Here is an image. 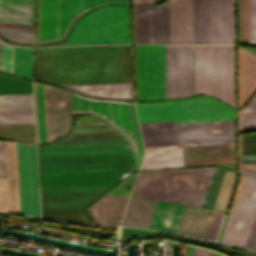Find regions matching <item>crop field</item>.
Here are the masks:
<instances>
[{
	"instance_id": "crop-field-1",
	"label": "crop field",
	"mask_w": 256,
	"mask_h": 256,
	"mask_svg": "<svg viewBox=\"0 0 256 256\" xmlns=\"http://www.w3.org/2000/svg\"><path fill=\"white\" fill-rule=\"evenodd\" d=\"M44 83L132 81L130 45L37 48ZM82 95L133 101L132 82L52 84Z\"/></svg>"
},
{
	"instance_id": "crop-field-2",
	"label": "crop field",
	"mask_w": 256,
	"mask_h": 256,
	"mask_svg": "<svg viewBox=\"0 0 256 256\" xmlns=\"http://www.w3.org/2000/svg\"><path fill=\"white\" fill-rule=\"evenodd\" d=\"M40 188L114 186L132 163L38 166ZM111 187L40 189L42 218L92 223L85 207Z\"/></svg>"
},
{
	"instance_id": "crop-field-3",
	"label": "crop field",
	"mask_w": 256,
	"mask_h": 256,
	"mask_svg": "<svg viewBox=\"0 0 256 256\" xmlns=\"http://www.w3.org/2000/svg\"><path fill=\"white\" fill-rule=\"evenodd\" d=\"M194 95L210 94L234 106L233 46L193 45Z\"/></svg>"
},
{
	"instance_id": "crop-field-4",
	"label": "crop field",
	"mask_w": 256,
	"mask_h": 256,
	"mask_svg": "<svg viewBox=\"0 0 256 256\" xmlns=\"http://www.w3.org/2000/svg\"><path fill=\"white\" fill-rule=\"evenodd\" d=\"M37 156L38 165L132 162L124 140L53 142Z\"/></svg>"
},
{
	"instance_id": "crop-field-5",
	"label": "crop field",
	"mask_w": 256,
	"mask_h": 256,
	"mask_svg": "<svg viewBox=\"0 0 256 256\" xmlns=\"http://www.w3.org/2000/svg\"><path fill=\"white\" fill-rule=\"evenodd\" d=\"M37 144H46L71 129L73 93L33 83Z\"/></svg>"
},
{
	"instance_id": "crop-field-6",
	"label": "crop field",
	"mask_w": 256,
	"mask_h": 256,
	"mask_svg": "<svg viewBox=\"0 0 256 256\" xmlns=\"http://www.w3.org/2000/svg\"><path fill=\"white\" fill-rule=\"evenodd\" d=\"M73 114H93L119 131L132 152L143 151L133 103L92 100L74 94Z\"/></svg>"
},
{
	"instance_id": "crop-field-7",
	"label": "crop field",
	"mask_w": 256,
	"mask_h": 256,
	"mask_svg": "<svg viewBox=\"0 0 256 256\" xmlns=\"http://www.w3.org/2000/svg\"><path fill=\"white\" fill-rule=\"evenodd\" d=\"M256 211V179L241 176L222 242L244 246Z\"/></svg>"
},
{
	"instance_id": "crop-field-8",
	"label": "crop field",
	"mask_w": 256,
	"mask_h": 256,
	"mask_svg": "<svg viewBox=\"0 0 256 256\" xmlns=\"http://www.w3.org/2000/svg\"><path fill=\"white\" fill-rule=\"evenodd\" d=\"M140 101L165 99V45H136Z\"/></svg>"
},
{
	"instance_id": "crop-field-9",
	"label": "crop field",
	"mask_w": 256,
	"mask_h": 256,
	"mask_svg": "<svg viewBox=\"0 0 256 256\" xmlns=\"http://www.w3.org/2000/svg\"><path fill=\"white\" fill-rule=\"evenodd\" d=\"M75 0H40L39 41L62 37L74 17ZM91 0H76L75 15L90 8Z\"/></svg>"
},
{
	"instance_id": "crop-field-10",
	"label": "crop field",
	"mask_w": 256,
	"mask_h": 256,
	"mask_svg": "<svg viewBox=\"0 0 256 256\" xmlns=\"http://www.w3.org/2000/svg\"><path fill=\"white\" fill-rule=\"evenodd\" d=\"M192 95L191 45H166V99Z\"/></svg>"
},
{
	"instance_id": "crop-field-11",
	"label": "crop field",
	"mask_w": 256,
	"mask_h": 256,
	"mask_svg": "<svg viewBox=\"0 0 256 256\" xmlns=\"http://www.w3.org/2000/svg\"><path fill=\"white\" fill-rule=\"evenodd\" d=\"M135 43H170L169 0L152 7L133 6Z\"/></svg>"
},
{
	"instance_id": "crop-field-12",
	"label": "crop field",
	"mask_w": 256,
	"mask_h": 256,
	"mask_svg": "<svg viewBox=\"0 0 256 256\" xmlns=\"http://www.w3.org/2000/svg\"><path fill=\"white\" fill-rule=\"evenodd\" d=\"M176 126L181 147L234 144V120Z\"/></svg>"
},
{
	"instance_id": "crop-field-13",
	"label": "crop field",
	"mask_w": 256,
	"mask_h": 256,
	"mask_svg": "<svg viewBox=\"0 0 256 256\" xmlns=\"http://www.w3.org/2000/svg\"><path fill=\"white\" fill-rule=\"evenodd\" d=\"M21 214L40 217L35 146L18 143Z\"/></svg>"
},
{
	"instance_id": "crop-field-14",
	"label": "crop field",
	"mask_w": 256,
	"mask_h": 256,
	"mask_svg": "<svg viewBox=\"0 0 256 256\" xmlns=\"http://www.w3.org/2000/svg\"><path fill=\"white\" fill-rule=\"evenodd\" d=\"M139 121L234 116V109L222 104H196L137 108Z\"/></svg>"
},
{
	"instance_id": "crop-field-15",
	"label": "crop field",
	"mask_w": 256,
	"mask_h": 256,
	"mask_svg": "<svg viewBox=\"0 0 256 256\" xmlns=\"http://www.w3.org/2000/svg\"><path fill=\"white\" fill-rule=\"evenodd\" d=\"M111 44L109 6L94 10L79 19L67 45Z\"/></svg>"
},
{
	"instance_id": "crop-field-16",
	"label": "crop field",
	"mask_w": 256,
	"mask_h": 256,
	"mask_svg": "<svg viewBox=\"0 0 256 256\" xmlns=\"http://www.w3.org/2000/svg\"><path fill=\"white\" fill-rule=\"evenodd\" d=\"M210 43H233L232 0H210Z\"/></svg>"
},
{
	"instance_id": "crop-field-17",
	"label": "crop field",
	"mask_w": 256,
	"mask_h": 256,
	"mask_svg": "<svg viewBox=\"0 0 256 256\" xmlns=\"http://www.w3.org/2000/svg\"><path fill=\"white\" fill-rule=\"evenodd\" d=\"M34 123L32 95H0V124Z\"/></svg>"
},
{
	"instance_id": "crop-field-18",
	"label": "crop field",
	"mask_w": 256,
	"mask_h": 256,
	"mask_svg": "<svg viewBox=\"0 0 256 256\" xmlns=\"http://www.w3.org/2000/svg\"><path fill=\"white\" fill-rule=\"evenodd\" d=\"M184 166L234 163V145L181 148Z\"/></svg>"
},
{
	"instance_id": "crop-field-19",
	"label": "crop field",
	"mask_w": 256,
	"mask_h": 256,
	"mask_svg": "<svg viewBox=\"0 0 256 256\" xmlns=\"http://www.w3.org/2000/svg\"><path fill=\"white\" fill-rule=\"evenodd\" d=\"M171 43H192V0H170Z\"/></svg>"
},
{
	"instance_id": "crop-field-20",
	"label": "crop field",
	"mask_w": 256,
	"mask_h": 256,
	"mask_svg": "<svg viewBox=\"0 0 256 256\" xmlns=\"http://www.w3.org/2000/svg\"><path fill=\"white\" fill-rule=\"evenodd\" d=\"M139 125L144 147L179 145L174 121Z\"/></svg>"
},
{
	"instance_id": "crop-field-21",
	"label": "crop field",
	"mask_w": 256,
	"mask_h": 256,
	"mask_svg": "<svg viewBox=\"0 0 256 256\" xmlns=\"http://www.w3.org/2000/svg\"><path fill=\"white\" fill-rule=\"evenodd\" d=\"M106 195V194H105ZM128 198L106 195L88 208L95 224L118 225Z\"/></svg>"
},
{
	"instance_id": "crop-field-22",
	"label": "crop field",
	"mask_w": 256,
	"mask_h": 256,
	"mask_svg": "<svg viewBox=\"0 0 256 256\" xmlns=\"http://www.w3.org/2000/svg\"><path fill=\"white\" fill-rule=\"evenodd\" d=\"M239 108L256 90V58L238 49Z\"/></svg>"
},
{
	"instance_id": "crop-field-23",
	"label": "crop field",
	"mask_w": 256,
	"mask_h": 256,
	"mask_svg": "<svg viewBox=\"0 0 256 256\" xmlns=\"http://www.w3.org/2000/svg\"><path fill=\"white\" fill-rule=\"evenodd\" d=\"M144 149L146 156L140 170L183 167L179 146Z\"/></svg>"
},
{
	"instance_id": "crop-field-24",
	"label": "crop field",
	"mask_w": 256,
	"mask_h": 256,
	"mask_svg": "<svg viewBox=\"0 0 256 256\" xmlns=\"http://www.w3.org/2000/svg\"><path fill=\"white\" fill-rule=\"evenodd\" d=\"M212 212L210 209L186 206L176 232L203 237Z\"/></svg>"
},
{
	"instance_id": "crop-field-25",
	"label": "crop field",
	"mask_w": 256,
	"mask_h": 256,
	"mask_svg": "<svg viewBox=\"0 0 256 256\" xmlns=\"http://www.w3.org/2000/svg\"><path fill=\"white\" fill-rule=\"evenodd\" d=\"M34 0H0V22L33 24Z\"/></svg>"
},
{
	"instance_id": "crop-field-26",
	"label": "crop field",
	"mask_w": 256,
	"mask_h": 256,
	"mask_svg": "<svg viewBox=\"0 0 256 256\" xmlns=\"http://www.w3.org/2000/svg\"><path fill=\"white\" fill-rule=\"evenodd\" d=\"M6 167L9 212L20 214L17 183L16 142H6Z\"/></svg>"
},
{
	"instance_id": "crop-field-27",
	"label": "crop field",
	"mask_w": 256,
	"mask_h": 256,
	"mask_svg": "<svg viewBox=\"0 0 256 256\" xmlns=\"http://www.w3.org/2000/svg\"><path fill=\"white\" fill-rule=\"evenodd\" d=\"M185 206L158 202L150 228L175 232Z\"/></svg>"
},
{
	"instance_id": "crop-field-28",
	"label": "crop field",
	"mask_w": 256,
	"mask_h": 256,
	"mask_svg": "<svg viewBox=\"0 0 256 256\" xmlns=\"http://www.w3.org/2000/svg\"><path fill=\"white\" fill-rule=\"evenodd\" d=\"M157 202L130 198L121 224L148 228Z\"/></svg>"
},
{
	"instance_id": "crop-field-29",
	"label": "crop field",
	"mask_w": 256,
	"mask_h": 256,
	"mask_svg": "<svg viewBox=\"0 0 256 256\" xmlns=\"http://www.w3.org/2000/svg\"><path fill=\"white\" fill-rule=\"evenodd\" d=\"M193 43H209V0H193Z\"/></svg>"
},
{
	"instance_id": "crop-field-30",
	"label": "crop field",
	"mask_w": 256,
	"mask_h": 256,
	"mask_svg": "<svg viewBox=\"0 0 256 256\" xmlns=\"http://www.w3.org/2000/svg\"><path fill=\"white\" fill-rule=\"evenodd\" d=\"M112 44L130 43L127 6L111 5Z\"/></svg>"
},
{
	"instance_id": "crop-field-31",
	"label": "crop field",
	"mask_w": 256,
	"mask_h": 256,
	"mask_svg": "<svg viewBox=\"0 0 256 256\" xmlns=\"http://www.w3.org/2000/svg\"><path fill=\"white\" fill-rule=\"evenodd\" d=\"M256 130V93L247 106L238 111V132Z\"/></svg>"
},
{
	"instance_id": "crop-field-32",
	"label": "crop field",
	"mask_w": 256,
	"mask_h": 256,
	"mask_svg": "<svg viewBox=\"0 0 256 256\" xmlns=\"http://www.w3.org/2000/svg\"><path fill=\"white\" fill-rule=\"evenodd\" d=\"M234 183L235 173L226 170L213 208L225 211Z\"/></svg>"
},
{
	"instance_id": "crop-field-33",
	"label": "crop field",
	"mask_w": 256,
	"mask_h": 256,
	"mask_svg": "<svg viewBox=\"0 0 256 256\" xmlns=\"http://www.w3.org/2000/svg\"><path fill=\"white\" fill-rule=\"evenodd\" d=\"M256 162V135H239V163Z\"/></svg>"
},
{
	"instance_id": "crop-field-34",
	"label": "crop field",
	"mask_w": 256,
	"mask_h": 256,
	"mask_svg": "<svg viewBox=\"0 0 256 256\" xmlns=\"http://www.w3.org/2000/svg\"><path fill=\"white\" fill-rule=\"evenodd\" d=\"M0 138H35L34 124L0 125Z\"/></svg>"
},
{
	"instance_id": "crop-field-35",
	"label": "crop field",
	"mask_w": 256,
	"mask_h": 256,
	"mask_svg": "<svg viewBox=\"0 0 256 256\" xmlns=\"http://www.w3.org/2000/svg\"><path fill=\"white\" fill-rule=\"evenodd\" d=\"M32 49L16 48L15 75L31 79Z\"/></svg>"
},
{
	"instance_id": "crop-field-36",
	"label": "crop field",
	"mask_w": 256,
	"mask_h": 256,
	"mask_svg": "<svg viewBox=\"0 0 256 256\" xmlns=\"http://www.w3.org/2000/svg\"><path fill=\"white\" fill-rule=\"evenodd\" d=\"M224 171L225 170L218 169L216 167L214 168V171H213V174H212V177H211V180H210V183L201 207H207V208L213 207Z\"/></svg>"
},
{
	"instance_id": "crop-field-37",
	"label": "crop field",
	"mask_w": 256,
	"mask_h": 256,
	"mask_svg": "<svg viewBox=\"0 0 256 256\" xmlns=\"http://www.w3.org/2000/svg\"><path fill=\"white\" fill-rule=\"evenodd\" d=\"M239 9V42L249 40L248 0H238Z\"/></svg>"
},
{
	"instance_id": "crop-field-38",
	"label": "crop field",
	"mask_w": 256,
	"mask_h": 256,
	"mask_svg": "<svg viewBox=\"0 0 256 256\" xmlns=\"http://www.w3.org/2000/svg\"><path fill=\"white\" fill-rule=\"evenodd\" d=\"M14 47L0 43V72L13 75Z\"/></svg>"
},
{
	"instance_id": "crop-field-39",
	"label": "crop field",
	"mask_w": 256,
	"mask_h": 256,
	"mask_svg": "<svg viewBox=\"0 0 256 256\" xmlns=\"http://www.w3.org/2000/svg\"><path fill=\"white\" fill-rule=\"evenodd\" d=\"M0 35L13 42H17L20 44H31L33 32L0 29Z\"/></svg>"
},
{
	"instance_id": "crop-field-40",
	"label": "crop field",
	"mask_w": 256,
	"mask_h": 256,
	"mask_svg": "<svg viewBox=\"0 0 256 256\" xmlns=\"http://www.w3.org/2000/svg\"><path fill=\"white\" fill-rule=\"evenodd\" d=\"M224 212L214 211L205 237L215 239L219 230Z\"/></svg>"
},
{
	"instance_id": "crop-field-41",
	"label": "crop field",
	"mask_w": 256,
	"mask_h": 256,
	"mask_svg": "<svg viewBox=\"0 0 256 256\" xmlns=\"http://www.w3.org/2000/svg\"><path fill=\"white\" fill-rule=\"evenodd\" d=\"M250 7V40L256 39V0H249Z\"/></svg>"
},
{
	"instance_id": "crop-field-42",
	"label": "crop field",
	"mask_w": 256,
	"mask_h": 256,
	"mask_svg": "<svg viewBox=\"0 0 256 256\" xmlns=\"http://www.w3.org/2000/svg\"><path fill=\"white\" fill-rule=\"evenodd\" d=\"M155 234H158V232L146 231V230H140V229H131V228H121L120 238L148 236V235H155Z\"/></svg>"
},
{
	"instance_id": "crop-field-43",
	"label": "crop field",
	"mask_w": 256,
	"mask_h": 256,
	"mask_svg": "<svg viewBox=\"0 0 256 256\" xmlns=\"http://www.w3.org/2000/svg\"><path fill=\"white\" fill-rule=\"evenodd\" d=\"M0 211L8 212L6 178H0Z\"/></svg>"
},
{
	"instance_id": "crop-field-44",
	"label": "crop field",
	"mask_w": 256,
	"mask_h": 256,
	"mask_svg": "<svg viewBox=\"0 0 256 256\" xmlns=\"http://www.w3.org/2000/svg\"><path fill=\"white\" fill-rule=\"evenodd\" d=\"M244 247L256 249V214Z\"/></svg>"
},
{
	"instance_id": "crop-field-45",
	"label": "crop field",
	"mask_w": 256,
	"mask_h": 256,
	"mask_svg": "<svg viewBox=\"0 0 256 256\" xmlns=\"http://www.w3.org/2000/svg\"><path fill=\"white\" fill-rule=\"evenodd\" d=\"M0 28L33 31V25H26V24L0 23Z\"/></svg>"
},
{
	"instance_id": "crop-field-46",
	"label": "crop field",
	"mask_w": 256,
	"mask_h": 256,
	"mask_svg": "<svg viewBox=\"0 0 256 256\" xmlns=\"http://www.w3.org/2000/svg\"><path fill=\"white\" fill-rule=\"evenodd\" d=\"M0 177H6L4 141H0Z\"/></svg>"
},
{
	"instance_id": "crop-field-47",
	"label": "crop field",
	"mask_w": 256,
	"mask_h": 256,
	"mask_svg": "<svg viewBox=\"0 0 256 256\" xmlns=\"http://www.w3.org/2000/svg\"><path fill=\"white\" fill-rule=\"evenodd\" d=\"M239 171L256 176V165L239 164Z\"/></svg>"
},
{
	"instance_id": "crop-field-48",
	"label": "crop field",
	"mask_w": 256,
	"mask_h": 256,
	"mask_svg": "<svg viewBox=\"0 0 256 256\" xmlns=\"http://www.w3.org/2000/svg\"><path fill=\"white\" fill-rule=\"evenodd\" d=\"M194 256H212V253L194 247Z\"/></svg>"
},
{
	"instance_id": "crop-field-49",
	"label": "crop field",
	"mask_w": 256,
	"mask_h": 256,
	"mask_svg": "<svg viewBox=\"0 0 256 256\" xmlns=\"http://www.w3.org/2000/svg\"><path fill=\"white\" fill-rule=\"evenodd\" d=\"M136 4H155V0H133Z\"/></svg>"
},
{
	"instance_id": "crop-field-50",
	"label": "crop field",
	"mask_w": 256,
	"mask_h": 256,
	"mask_svg": "<svg viewBox=\"0 0 256 256\" xmlns=\"http://www.w3.org/2000/svg\"><path fill=\"white\" fill-rule=\"evenodd\" d=\"M108 1H127V0H92V6L97 5V4H101V3H104V2H108Z\"/></svg>"
},
{
	"instance_id": "crop-field-51",
	"label": "crop field",
	"mask_w": 256,
	"mask_h": 256,
	"mask_svg": "<svg viewBox=\"0 0 256 256\" xmlns=\"http://www.w3.org/2000/svg\"><path fill=\"white\" fill-rule=\"evenodd\" d=\"M245 49V48H244ZM248 50L249 52L253 53L254 55H256V50H253V49H246Z\"/></svg>"
},
{
	"instance_id": "crop-field-52",
	"label": "crop field",
	"mask_w": 256,
	"mask_h": 256,
	"mask_svg": "<svg viewBox=\"0 0 256 256\" xmlns=\"http://www.w3.org/2000/svg\"><path fill=\"white\" fill-rule=\"evenodd\" d=\"M249 44H255L256 45V41L255 42H250Z\"/></svg>"
}]
</instances>
